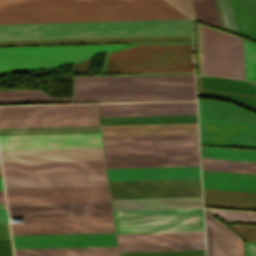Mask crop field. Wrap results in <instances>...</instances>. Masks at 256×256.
<instances>
[{
	"mask_svg": "<svg viewBox=\"0 0 256 256\" xmlns=\"http://www.w3.org/2000/svg\"><path fill=\"white\" fill-rule=\"evenodd\" d=\"M4 176L105 173L104 160L2 163Z\"/></svg>",
	"mask_w": 256,
	"mask_h": 256,
	"instance_id": "obj_14",
	"label": "crop field"
},
{
	"mask_svg": "<svg viewBox=\"0 0 256 256\" xmlns=\"http://www.w3.org/2000/svg\"><path fill=\"white\" fill-rule=\"evenodd\" d=\"M192 18L194 16L193 0H170ZM219 15L225 29L237 32L231 0H215ZM214 0H194L196 19L204 23L222 27ZM222 27V28H223Z\"/></svg>",
	"mask_w": 256,
	"mask_h": 256,
	"instance_id": "obj_19",
	"label": "crop field"
},
{
	"mask_svg": "<svg viewBox=\"0 0 256 256\" xmlns=\"http://www.w3.org/2000/svg\"><path fill=\"white\" fill-rule=\"evenodd\" d=\"M100 132L99 126L0 129V135Z\"/></svg>",
	"mask_w": 256,
	"mask_h": 256,
	"instance_id": "obj_34",
	"label": "crop field"
},
{
	"mask_svg": "<svg viewBox=\"0 0 256 256\" xmlns=\"http://www.w3.org/2000/svg\"><path fill=\"white\" fill-rule=\"evenodd\" d=\"M205 206L256 210V193L204 189Z\"/></svg>",
	"mask_w": 256,
	"mask_h": 256,
	"instance_id": "obj_30",
	"label": "crop field"
},
{
	"mask_svg": "<svg viewBox=\"0 0 256 256\" xmlns=\"http://www.w3.org/2000/svg\"><path fill=\"white\" fill-rule=\"evenodd\" d=\"M99 125L95 104L0 107V128Z\"/></svg>",
	"mask_w": 256,
	"mask_h": 256,
	"instance_id": "obj_7",
	"label": "crop field"
},
{
	"mask_svg": "<svg viewBox=\"0 0 256 256\" xmlns=\"http://www.w3.org/2000/svg\"><path fill=\"white\" fill-rule=\"evenodd\" d=\"M111 199L201 196L200 179L109 182Z\"/></svg>",
	"mask_w": 256,
	"mask_h": 256,
	"instance_id": "obj_12",
	"label": "crop field"
},
{
	"mask_svg": "<svg viewBox=\"0 0 256 256\" xmlns=\"http://www.w3.org/2000/svg\"><path fill=\"white\" fill-rule=\"evenodd\" d=\"M201 144L256 149V115L198 99Z\"/></svg>",
	"mask_w": 256,
	"mask_h": 256,
	"instance_id": "obj_4",
	"label": "crop field"
},
{
	"mask_svg": "<svg viewBox=\"0 0 256 256\" xmlns=\"http://www.w3.org/2000/svg\"><path fill=\"white\" fill-rule=\"evenodd\" d=\"M14 248L116 246L114 233L12 236Z\"/></svg>",
	"mask_w": 256,
	"mask_h": 256,
	"instance_id": "obj_16",
	"label": "crop field"
},
{
	"mask_svg": "<svg viewBox=\"0 0 256 256\" xmlns=\"http://www.w3.org/2000/svg\"><path fill=\"white\" fill-rule=\"evenodd\" d=\"M5 190L8 204L110 202L107 186Z\"/></svg>",
	"mask_w": 256,
	"mask_h": 256,
	"instance_id": "obj_11",
	"label": "crop field"
},
{
	"mask_svg": "<svg viewBox=\"0 0 256 256\" xmlns=\"http://www.w3.org/2000/svg\"><path fill=\"white\" fill-rule=\"evenodd\" d=\"M190 18L172 4L0 9V23Z\"/></svg>",
	"mask_w": 256,
	"mask_h": 256,
	"instance_id": "obj_3",
	"label": "crop field"
},
{
	"mask_svg": "<svg viewBox=\"0 0 256 256\" xmlns=\"http://www.w3.org/2000/svg\"><path fill=\"white\" fill-rule=\"evenodd\" d=\"M102 147L100 133L0 136V150Z\"/></svg>",
	"mask_w": 256,
	"mask_h": 256,
	"instance_id": "obj_13",
	"label": "crop field"
},
{
	"mask_svg": "<svg viewBox=\"0 0 256 256\" xmlns=\"http://www.w3.org/2000/svg\"><path fill=\"white\" fill-rule=\"evenodd\" d=\"M202 157L256 162V151L201 147Z\"/></svg>",
	"mask_w": 256,
	"mask_h": 256,
	"instance_id": "obj_36",
	"label": "crop field"
},
{
	"mask_svg": "<svg viewBox=\"0 0 256 256\" xmlns=\"http://www.w3.org/2000/svg\"><path fill=\"white\" fill-rule=\"evenodd\" d=\"M10 216L112 214L110 203L8 205Z\"/></svg>",
	"mask_w": 256,
	"mask_h": 256,
	"instance_id": "obj_21",
	"label": "crop field"
},
{
	"mask_svg": "<svg viewBox=\"0 0 256 256\" xmlns=\"http://www.w3.org/2000/svg\"><path fill=\"white\" fill-rule=\"evenodd\" d=\"M175 35H192L190 19L0 24V41Z\"/></svg>",
	"mask_w": 256,
	"mask_h": 256,
	"instance_id": "obj_1",
	"label": "crop field"
},
{
	"mask_svg": "<svg viewBox=\"0 0 256 256\" xmlns=\"http://www.w3.org/2000/svg\"><path fill=\"white\" fill-rule=\"evenodd\" d=\"M193 71L191 44L138 45L110 53L105 73Z\"/></svg>",
	"mask_w": 256,
	"mask_h": 256,
	"instance_id": "obj_5",
	"label": "crop field"
},
{
	"mask_svg": "<svg viewBox=\"0 0 256 256\" xmlns=\"http://www.w3.org/2000/svg\"><path fill=\"white\" fill-rule=\"evenodd\" d=\"M193 75L77 77L73 102L194 100Z\"/></svg>",
	"mask_w": 256,
	"mask_h": 256,
	"instance_id": "obj_2",
	"label": "crop field"
},
{
	"mask_svg": "<svg viewBox=\"0 0 256 256\" xmlns=\"http://www.w3.org/2000/svg\"><path fill=\"white\" fill-rule=\"evenodd\" d=\"M115 221L202 219V209L113 212ZM124 233L203 231L202 220L115 222Z\"/></svg>",
	"mask_w": 256,
	"mask_h": 256,
	"instance_id": "obj_9",
	"label": "crop field"
},
{
	"mask_svg": "<svg viewBox=\"0 0 256 256\" xmlns=\"http://www.w3.org/2000/svg\"><path fill=\"white\" fill-rule=\"evenodd\" d=\"M5 188L107 185L105 174L4 177Z\"/></svg>",
	"mask_w": 256,
	"mask_h": 256,
	"instance_id": "obj_22",
	"label": "crop field"
},
{
	"mask_svg": "<svg viewBox=\"0 0 256 256\" xmlns=\"http://www.w3.org/2000/svg\"><path fill=\"white\" fill-rule=\"evenodd\" d=\"M102 135L197 133L196 124L101 126Z\"/></svg>",
	"mask_w": 256,
	"mask_h": 256,
	"instance_id": "obj_29",
	"label": "crop field"
},
{
	"mask_svg": "<svg viewBox=\"0 0 256 256\" xmlns=\"http://www.w3.org/2000/svg\"><path fill=\"white\" fill-rule=\"evenodd\" d=\"M200 95L236 101L256 110V83L229 77H198Z\"/></svg>",
	"mask_w": 256,
	"mask_h": 256,
	"instance_id": "obj_17",
	"label": "crop field"
},
{
	"mask_svg": "<svg viewBox=\"0 0 256 256\" xmlns=\"http://www.w3.org/2000/svg\"><path fill=\"white\" fill-rule=\"evenodd\" d=\"M246 79L256 82V45L243 41Z\"/></svg>",
	"mask_w": 256,
	"mask_h": 256,
	"instance_id": "obj_39",
	"label": "crop field"
},
{
	"mask_svg": "<svg viewBox=\"0 0 256 256\" xmlns=\"http://www.w3.org/2000/svg\"><path fill=\"white\" fill-rule=\"evenodd\" d=\"M101 125L196 123V115L99 118Z\"/></svg>",
	"mask_w": 256,
	"mask_h": 256,
	"instance_id": "obj_33",
	"label": "crop field"
},
{
	"mask_svg": "<svg viewBox=\"0 0 256 256\" xmlns=\"http://www.w3.org/2000/svg\"><path fill=\"white\" fill-rule=\"evenodd\" d=\"M103 142L197 139V134L102 136Z\"/></svg>",
	"mask_w": 256,
	"mask_h": 256,
	"instance_id": "obj_38",
	"label": "crop field"
},
{
	"mask_svg": "<svg viewBox=\"0 0 256 256\" xmlns=\"http://www.w3.org/2000/svg\"><path fill=\"white\" fill-rule=\"evenodd\" d=\"M105 153L198 151L197 140L103 143Z\"/></svg>",
	"mask_w": 256,
	"mask_h": 256,
	"instance_id": "obj_25",
	"label": "crop field"
},
{
	"mask_svg": "<svg viewBox=\"0 0 256 256\" xmlns=\"http://www.w3.org/2000/svg\"><path fill=\"white\" fill-rule=\"evenodd\" d=\"M200 74L245 79L242 40L199 26Z\"/></svg>",
	"mask_w": 256,
	"mask_h": 256,
	"instance_id": "obj_8",
	"label": "crop field"
},
{
	"mask_svg": "<svg viewBox=\"0 0 256 256\" xmlns=\"http://www.w3.org/2000/svg\"><path fill=\"white\" fill-rule=\"evenodd\" d=\"M170 3L167 0H0V8Z\"/></svg>",
	"mask_w": 256,
	"mask_h": 256,
	"instance_id": "obj_27",
	"label": "crop field"
},
{
	"mask_svg": "<svg viewBox=\"0 0 256 256\" xmlns=\"http://www.w3.org/2000/svg\"><path fill=\"white\" fill-rule=\"evenodd\" d=\"M109 180L200 178L199 167L107 169Z\"/></svg>",
	"mask_w": 256,
	"mask_h": 256,
	"instance_id": "obj_24",
	"label": "crop field"
},
{
	"mask_svg": "<svg viewBox=\"0 0 256 256\" xmlns=\"http://www.w3.org/2000/svg\"><path fill=\"white\" fill-rule=\"evenodd\" d=\"M206 212V211H205ZM207 213V212H206ZM205 213L206 219V243H207V254L208 256H236L235 248V237H236V247H237V256H243V242L242 240L230 231L226 226L221 222Z\"/></svg>",
	"mask_w": 256,
	"mask_h": 256,
	"instance_id": "obj_23",
	"label": "crop field"
},
{
	"mask_svg": "<svg viewBox=\"0 0 256 256\" xmlns=\"http://www.w3.org/2000/svg\"><path fill=\"white\" fill-rule=\"evenodd\" d=\"M126 45L2 47L0 48V74L61 66Z\"/></svg>",
	"mask_w": 256,
	"mask_h": 256,
	"instance_id": "obj_6",
	"label": "crop field"
},
{
	"mask_svg": "<svg viewBox=\"0 0 256 256\" xmlns=\"http://www.w3.org/2000/svg\"><path fill=\"white\" fill-rule=\"evenodd\" d=\"M113 211L201 208V197L111 200Z\"/></svg>",
	"mask_w": 256,
	"mask_h": 256,
	"instance_id": "obj_26",
	"label": "crop field"
},
{
	"mask_svg": "<svg viewBox=\"0 0 256 256\" xmlns=\"http://www.w3.org/2000/svg\"><path fill=\"white\" fill-rule=\"evenodd\" d=\"M119 251L204 249V242L118 245Z\"/></svg>",
	"mask_w": 256,
	"mask_h": 256,
	"instance_id": "obj_37",
	"label": "crop field"
},
{
	"mask_svg": "<svg viewBox=\"0 0 256 256\" xmlns=\"http://www.w3.org/2000/svg\"><path fill=\"white\" fill-rule=\"evenodd\" d=\"M0 174H1V170H0ZM0 190H3L1 178H0ZM0 203H5L3 191H0Z\"/></svg>",
	"mask_w": 256,
	"mask_h": 256,
	"instance_id": "obj_43",
	"label": "crop field"
},
{
	"mask_svg": "<svg viewBox=\"0 0 256 256\" xmlns=\"http://www.w3.org/2000/svg\"><path fill=\"white\" fill-rule=\"evenodd\" d=\"M11 228L12 235L114 232L112 215L36 217Z\"/></svg>",
	"mask_w": 256,
	"mask_h": 256,
	"instance_id": "obj_10",
	"label": "crop field"
},
{
	"mask_svg": "<svg viewBox=\"0 0 256 256\" xmlns=\"http://www.w3.org/2000/svg\"><path fill=\"white\" fill-rule=\"evenodd\" d=\"M99 117L196 114V102L97 104Z\"/></svg>",
	"mask_w": 256,
	"mask_h": 256,
	"instance_id": "obj_18",
	"label": "crop field"
},
{
	"mask_svg": "<svg viewBox=\"0 0 256 256\" xmlns=\"http://www.w3.org/2000/svg\"><path fill=\"white\" fill-rule=\"evenodd\" d=\"M246 256H256V243L246 242Z\"/></svg>",
	"mask_w": 256,
	"mask_h": 256,
	"instance_id": "obj_42",
	"label": "crop field"
},
{
	"mask_svg": "<svg viewBox=\"0 0 256 256\" xmlns=\"http://www.w3.org/2000/svg\"><path fill=\"white\" fill-rule=\"evenodd\" d=\"M15 256H118L116 247L14 249Z\"/></svg>",
	"mask_w": 256,
	"mask_h": 256,
	"instance_id": "obj_31",
	"label": "crop field"
},
{
	"mask_svg": "<svg viewBox=\"0 0 256 256\" xmlns=\"http://www.w3.org/2000/svg\"><path fill=\"white\" fill-rule=\"evenodd\" d=\"M238 31L256 40V0H232Z\"/></svg>",
	"mask_w": 256,
	"mask_h": 256,
	"instance_id": "obj_32",
	"label": "crop field"
},
{
	"mask_svg": "<svg viewBox=\"0 0 256 256\" xmlns=\"http://www.w3.org/2000/svg\"><path fill=\"white\" fill-rule=\"evenodd\" d=\"M238 232L245 241L256 242V227L229 225Z\"/></svg>",
	"mask_w": 256,
	"mask_h": 256,
	"instance_id": "obj_41",
	"label": "crop field"
},
{
	"mask_svg": "<svg viewBox=\"0 0 256 256\" xmlns=\"http://www.w3.org/2000/svg\"><path fill=\"white\" fill-rule=\"evenodd\" d=\"M221 220L256 222V213L208 209Z\"/></svg>",
	"mask_w": 256,
	"mask_h": 256,
	"instance_id": "obj_40",
	"label": "crop field"
},
{
	"mask_svg": "<svg viewBox=\"0 0 256 256\" xmlns=\"http://www.w3.org/2000/svg\"><path fill=\"white\" fill-rule=\"evenodd\" d=\"M202 169L256 174V163L202 158Z\"/></svg>",
	"mask_w": 256,
	"mask_h": 256,
	"instance_id": "obj_35",
	"label": "crop field"
},
{
	"mask_svg": "<svg viewBox=\"0 0 256 256\" xmlns=\"http://www.w3.org/2000/svg\"><path fill=\"white\" fill-rule=\"evenodd\" d=\"M204 188L256 192V175L202 170Z\"/></svg>",
	"mask_w": 256,
	"mask_h": 256,
	"instance_id": "obj_28",
	"label": "crop field"
},
{
	"mask_svg": "<svg viewBox=\"0 0 256 256\" xmlns=\"http://www.w3.org/2000/svg\"><path fill=\"white\" fill-rule=\"evenodd\" d=\"M107 168L199 166L198 152L105 154Z\"/></svg>",
	"mask_w": 256,
	"mask_h": 256,
	"instance_id": "obj_15",
	"label": "crop field"
},
{
	"mask_svg": "<svg viewBox=\"0 0 256 256\" xmlns=\"http://www.w3.org/2000/svg\"><path fill=\"white\" fill-rule=\"evenodd\" d=\"M2 162L104 159L102 148L0 151Z\"/></svg>",
	"mask_w": 256,
	"mask_h": 256,
	"instance_id": "obj_20",
	"label": "crop field"
}]
</instances>
